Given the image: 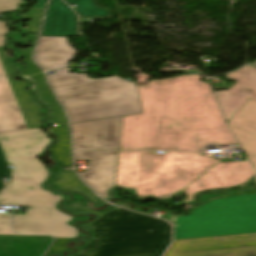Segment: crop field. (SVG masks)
Returning <instances> with one entry per match:
<instances>
[{"instance_id": "crop-field-1", "label": "crop field", "mask_w": 256, "mask_h": 256, "mask_svg": "<svg viewBox=\"0 0 256 256\" xmlns=\"http://www.w3.org/2000/svg\"><path fill=\"white\" fill-rule=\"evenodd\" d=\"M200 75L137 86L143 114L123 117L121 149L203 152L206 144H236Z\"/></svg>"}, {"instance_id": "crop-field-2", "label": "crop field", "mask_w": 256, "mask_h": 256, "mask_svg": "<svg viewBox=\"0 0 256 256\" xmlns=\"http://www.w3.org/2000/svg\"><path fill=\"white\" fill-rule=\"evenodd\" d=\"M51 142L41 128L0 134V190L1 177L10 176V184L0 193V205L24 206L25 215H13L14 233H47L54 237L75 238L78 231L66 225L73 217L56 210L64 196H54L40 188L47 178L45 167L36 158Z\"/></svg>"}, {"instance_id": "crop-field-3", "label": "crop field", "mask_w": 256, "mask_h": 256, "mask_svg": "<svg viewBox=\"0 0 256 256\" xmlns=\"http://www.w3.org/2000/svg\"><path fill=\"white\" fill-rule=\"evenodd\" d=\"M215 163L213 155L119 151L116 187L135 189L139 199L166 198L180 192Z\"/></svg>"}, {"instance_id": "crop-field-4", "label": "crop field", "mask_w": 256, "mask_h": 256, "mask_svg": "<svg viewBox=\"0 0 256 256\" xmlns=\"http://www.w3.org/2000/svg\"><path fill=\"white\" fill-rule=\"evenodd\" d=\"M68 71L73 70H58L48 77L71 123L142 113L135 82L117 76L88 79Z\"/></svg>"}, {"instance_id": "crop-field-5", "label": "crop field", "mask_w": 256, "mask_h": 256, "mask_svg": "<svg viewBox=\"0 0 256 256\" xmlns=\"http://www.w3.org/2000/svg\"><path fill=\"white\" fill-rule=\"evenodd\" d=\"M93 227L96 239L77 256H161L170 243L167 222L120 208Z\"/></svg>"}, {"instance_id": "crop-field-6", "label": "crop field", "mask_w": 256, "mask_h": 256, "mask_svg": "<svg viewBox=\"0 0 256 256\" xmlns=\"http://www.w3.org/2000/svg\"><path fill=\"white\" fill-rule=\"evenodd\" d=\"M169 220L174 239L256 233V195L212 200L188 217Z\"/></svg>"}, {"instance_id": "crop-field-7", "label": "crop field", "mask_w": 256, "mask_h": 256, "mask_svg": "<svg viewBox=\"0 0 256 256\" xmlns=\"http://www.w3.org/2000/svg\"><path fill=\"white\" fill-rule=\"evenodd\" d=\"M165 256H256V234L175 240Z\"/></svg>"}, {"instance_id": "crop-field-8", "label": "crop field", "mask_w": 256, "mask_h": 256, "mask_svg": "<svg viewBox=\"0 0 256 256\" xmlns=\"http://www.w3.org/2000/svg\"><path fill=\"white\" fill-rule=\"evenodd\" d=\"M254 178L256 176L248 161L218 163L182 191L187 198L178 205L184 202H196L194 195L198 192L238 186Z\"/></svg>"}, {"instance_id": "crop-field-9", "label": "crop field", "mask_w": 256, "mask_h": 256, "mask_svg": "<svg viewBox=\"0 0 256 256\" xmlns=\"http://www.w3.org/2000/svg\"><path fill=\"white\" fill-rule=\"evenodd\" d=\"M122 117L71 124L74 151L117 149Z\"/></svg>"}, {"instance_id": "crop-field-10", "label": "crop field", "mask_w": 256, "mask_h": 256, "mask_svg": "<svg viewBox=\"0 0 256 256\" xmlns=\"http://www.w3.org/2000/svg\"><path fill=\"white\" fill-rule=\"evenodd\" d=\"M76 160H90L84 181L107 200V192L115 186L118 151L75 153Z\"/></svg>"}, {"instance_id": "crop-field-11", "label": "crop field", "mask_w": 256, "mask_h": 256, "mask_svg": "<svg viewBox=\"0 0 256 256\" xmlns=\"http://www.w3.org/2000/svg\"><path fill=\"white\" fill-rule=\"evenodd\" d=\"M225 77L237 81L227 91L214 93L224 118L230 119L249 98L256 100V68L246 66Z\"/></svg>"}, {"instance_id": "crop-field-12", "label": "crop field", "mask_w": 256, "mask_h": 256, "mask_svg": "<svg viewBox=\"0 0 256 256\" xmlns=\"http://www.w3.org/2000/svg\"><path fill=\"white\" fill-rule=\"evenodd\" d=\"M227 125L256 170V101L249 99Z\"/></svg>"}, {"instance_id": "crop-field-13", "label": "crop field", "mask_w": 256, "mask_h": 256, "mask_svg": "<svg viewBox=\"0 0 256 256\" xmlns=\"http://www.w3.org/2000/svg\"><path fill=\"white\" fill-rule=\"evenodd\" d=\"M75 52L66 37H41L36 61L45 70L66 68Z\"/></svg>"}, {"instance_id": "crop-field-14", "label": "crop field", "mask_w": 256, "mask_h": 256, "mask_svg": "<svg viewBox=\"0 0 256 256\" xmlns=\"http://www.w3.org/2000/svg\"><path fill=\"white\" fill-rule=\"evenodd\" d=\"M4 47H0V59L7 74L8 80L16 97L17 103L23 115L24 121L28 129L37 128V127H45L47 124L40 123L44 117L38 115L41 112V108L33 103L29 98L31 95L25 90L27 87L26 82L15 81L13 80L9 74H15V66H6L8 60H10L11 56L3 52Z\"/></svg>"}, {"instance_id": "crop-field-15", "label": "crop field", "mask_w": 256, "mask_h": 256, "mask_svg": "<svg viewBox=\"0 0 256 256\" xmlns=\"http://www.w3.org/2000/svg\"><path fill=\"white\" fill-rule=\"evenodd\" d=\"M77 17L62 0H51L41 36H75Z\"/></svg>"}, {"instance_id": "crop-field-16", "label": "crop field", "mask_w": 256, "mask_h": 256, "mask_svg": "<svg viewBox=\"0 0 256 256\" xmlns=\"http://www.w3.org/2000/svg\"><path fill=\"white\" fill-rule=\"evenodd\" d=\"M27 129L0 62V133Z\"/></svg>"}, {"instance_id": "crop-field-17", "label": "crop field", "mask_w": 256, "mask_h": 256, "mask_svg": "<svg viewBox=\"0 0 256 256\" xmlns=\"http://www.w3.org/2000/svg\"><path fill=\"white\" fill-rule=\"evenodd\" d=\"M51 238L0 236V256H41L49 247Z\"/></svg>"}, {"instance_id": "crop-field-18", "label": "crop field", "mask_w": 256, "mask_h": 256, "mask_svg": "<svg viewBox=\"0 0 256 256\" xmlns=\"http://www.w3.org/2000/svg\"><path fill=\"white\" fill-rule=\"evenodd\" d=\"M32 79L35 80L36 84V90L39 95V98L42 102H46L49 104L51 108V114H52V122L54 126L57 125H64L67 124L66 117L59 106V104L56 102V99L50 90L49 86L46 83V79L43 73L29 76Z\"/></svg>"}, {"instance_id": "crop-field-19", "label": "crop field", "mask_w": 256, "mask_h": 256, "mask_svg": "<svg viewBox=\"0 0 256 256\" xmlns=\"http://www.w3.org/2000/svg\"><path fill=\"white\" fill-rule=\"evenodd\" d=\"M51 131L59 138V142L51 148L53 160L56 162L57 166L72 167L68 126L52 127Z\"/></svg>"}, {"instance_id": "crop-field-20", "label": "crop field", "mask_w": 256, "mask_h": 256, "mask_svg": "<svg viewBox=\"0 0 256 256\" xmlns=\"http://www.w3.org/2000/svg\"><path fill=\"white\" fill-rule=\"evenodd\" d=\"M61 178L53 183L60 190H79L85 192L94 202V207L98 208L105 203L100 200L85 184L75 175L74 171H58Z\"/></svg>"}, {"instance_id": "crop-field-21", "label": "crop field", "mask_w": 256, "mask_h": 256, "mask_svg": "<svg viewBox=\"0 0 256 256\" xmlns=\"http://www.w3.org/2000/svg\"><path fill=\"white\" fill-rule=\"evenodd\" d=\"M80 202H82V200L75 201V202H71V203H67V204H65V206H66V208H67L71 213H72V212L82 211V210H87V209H85V208L82 206V204H81ZM115 208H116V207L110 209L108 212L112 211V210L115 209ZM90 211H93V210H90ZM93 212L98 216L97 219H98L100 216H102L103 214H105V213H98V212H95V211H93ZM108 212H107V213H108ZM97 219H96V220H97ZM96 220H95V221H96ZM93 222H94V221H93ZM93 222L87 223V224H79V227H81V228H82L83 230H85V231H88V232L91 234V237L86 238V239H83V240H85V244H84L83 246L79 247L76 253L71 254V255H69V256H74V255L80 253V251L82 250V248H83L84 246L88 245L92 240H94L95 234H94L93 227H92V223H93Z\"/></svg>"}, {"instance_id": "crop-field-22", "label": "crop field", "mask_w": 256, "mask_h": 256, "mask_svg": "<svg viewBox=\"0 0 256 256\" xmlns=\"http://www.w3.org/2000/svg\"><path fill=\"white\" fill-rule=\"evenodd\" d=\"M26 39H28L32 43V46L27 48V49H25V50L19 51L20 54L26 56V58L22 60V61H24L26 63V70L23 73H21V75L35 74V73L42 72L41 69L38 68L31 61L32 51H33V49L35 47V43H36L37 37L26 36Z\"/></svg>"}, {"instance_id": "crop-field-23", "label": "crop field", "mask_w": 256, "mask_h": 256, "mask_svg": "<svg viewBox=\"0 0 256 256\" xmlns=\"http://www.w3.org/2000/svg\"><path fill=\"white\" fill-rule=\"evenodd\" d=\"M22 3L21 0H0V11L17 9V4ZM7 33L5 23L0 22V46H3V36Z\"/></svg>"}, {"instance_id": "crop-field-24", "label": "crop field", "mask_w": 256, "mask_h": 256, "mask_svg": "<svg viewBox=\"0 0 256 256\" xmlns=\"http://www.w3.org/2000/svg\"><path fill=\"white\" fill-rule=\"evenodd\" d=\"M28 13L30 14L32 20L26 23L28 26L27 31L38 32L43 10H31L28 11Z\"/></svg>"}, {"instance_id": "crop-field-25", "label": "crop field", "mask_w": 256, "mask_h": 256, "mask_svg": "<svg viewBox=\"0 0 256 256\" xmlns=\"http://www.w3.org/2000/svg\"><path fill=\"white\" fill-rule=\"evenodd\" d=\"M0 235H16L10 231V213H0ZM48 236V235H30Z\"/></svg>"}, {"instance_id": "crop-field-26", "label": "crop field", "mask_w": 256, "mask_h": 256, "mask_svg": "<svg viewBox=\"0 0 256 256\" xmlns=\"http://www.w3.org/2000/svg\"><path fill=\"white\" fill-rule=\"evenodd\" d=\"M69 240L76 241V239L55 238L54 244L50 248L49 252L46 255H44V256H50V255H53L55 253H60V252H62L64 250H66L67 248L65 247V244Z\"/></svg>"}, {"instance_id": "crop-field-27", "label": "crop field", "mask_w": 256, "mask_h": 256, "mask_svg": "<svg viewBox=\"0 0 256 256\" xmlns=\"http://www.w3.org/2000/svg\"><path fill=\"white\" fill-rule=\"evenodd\" d=\"M80 16H109L106 10H76Z\"/></svg>"}, {"instance_id": "crop-field-28", "label": "crop field", "mask_w": 256, "mask_h": 256, "mask_svg": "<svg viewBox=\"0 0 256 256\" xmlns=\"http://www.w3.org/2000/svg\"><path fill=\"white\" fill-rule=\"evenodd\" d=\"M255 193H256V190H255V191H251V192H249V193H235V194H231V195H221V196H217V197L210 198V199H208L207 201H205L204 204L199 205V206H197V207H200V206L205 205V204L208 203L211 199H218V198L229 197V196H236V195H243V194H255ZM197 207H194V208L190 209L189 215L192 214L193 210H194L195 208H197ZM187 216H188V215H187Z\"/></svg>"}, {"instance_id": "crop-field-29", "label": "crop field", "mask_w": 256, "mask_h": 256, "mask_svg": "<svg viewBox=\"0 0 256 256\" xmlns=\"http://www.w3.org/2000/svg\"><path fill=\"white\" fill-rule=\"evenodd\" d=\"M75 5L78 7V9H100L94 5V2L78 3Z\"/></svg>"}, {"instance_id": "crop-field-30", "label": "crop field", "mask_w": 256, "mask_h": 256, "mask_svg": "<svg viewBox=\"0 0 256 256\" xmlns=\"http://www.w3.org/2000/svg\"><path fill=\"white\" fill-rule=\"evenodd\" d=\"M48 0H38L37 4L33 8H44Z\"/></svg>"}, {"instance_id": "crop-field-31", "label": "crop field", "mask_w": 256, "mask_h": 256, "mask_svg": "<svg viewBox=\"0 0 256 256\" xmlns=\"http://www.w3.org/2000/svg\"><path fill=\"white\" fill-rule=\"evenodd\" d=\"M68 4L78 3V2H87V1H94V0H65Z\"/></svg>"}, {"instance_id": "crop-field-32", "label": "crop field", "mask_w": 256, "mask_h": 256, "mask_svg": "<svg viewBox=\"0 0 256 256\" xmlns=\"http://www.w3.org/2000/svg\"><path fill=\"white\" fill-rule=\"evenodd\" d=\"M252 64L256 66V62H254V63H252Z\"/></svg>"}]
</instances>
